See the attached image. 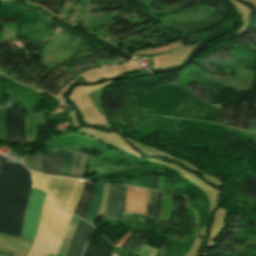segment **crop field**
I'll return each mask as SVG.
<instances>
[{
  "label": "crop field",
  "mask_w": 256,
  "mask_h": 256,
  "mask_svg": "<svg viewBox=\"0 0 256 256\" xmlns=\"http://www.w3.org/2000/svg\"><path fill=\"white\" fill-rule=\"evenodd\" d=\"M30 186L24 166L4 163L0 157V232L19 237Z\"/></svg>",
  "instance_id": "8a807250"
},
{
  "label": "crop field",
  "mask_w": 256,
  "mask_h": 256,
  "mask_svg": "<svg viewBox=\"0 0 256 256\" xmlns=\"http://www.w3.org/2000/svg\"><path fill=\"white\" fill-rule=\"evenodd\" d=\"M70 214L57 209L50 196H46L35 242L28 256L57 254Z\"/></svg>",
  "instance_id": "ac0d7876"
},
{
  "label": "crop field",
  "mask_w": 256,
  "mask_h": 256,
  "mask_svg": "<svg viewBox=\"0 0 256 256\" xmlns=\"http://www.w3.org/2000/svg\"><path fill=\"white\" fill-rule=\"evenodd\" d=\"M34 184L41 190L49 193L57 206L73 211L83 185L77 184L78 180L63 177H50L32 172Z\"/></svg>",
  "instance_id": "34b2d1b8"
},
{
  "label": "crop field",
  "mask_w": 256,
  "mask_h": 256,
  "mask_svg": "<svg viewBox=\"0 0 256 256\" xmlns=\"http://www.w3.org/2000/svg\"><path fill=\"white\" fill-rule=\"evenodd\" d=\"M44 199L45 194L32 184L20 237L34 240Z\"/></svg>",
  "instance_id": "412701ff"
},
{
  "label": "crop field",
  "mask_w": 256,
  "mask_h": 256,
  "mask_svg": "<svg viewBox=\"0 0 256 256\" xmlns=\"http://www.w3.org/2000/svg\"><path fill=\"white\" fill-rule=\"evenodd\" d=\"M15 109L5 107L4 141L14 143ZM15 143L24 144V117L16 110Z\"/></svg>",
  "instance_id": "f4fd0767"
},
{
  "label": "crop field",
  "mask_w": 256,
  "mask_h": 256,
  "mask_svg": "<svg viewBox=\"0 0 256 256\" xmlns=\"http://www.w3.org/2000/svg\"><path fill=\"white\" fill-rule=\"evenodd\" d=\"M33 241L0 233V256H27Z\"/></svg>",
  "instance_id": "dd49c442"
},
{
  "label": "crop field",
  "mask_w": 256,
  "mask_h": 256,
  "mask_svg": "<svg viewBox=\"0 0 256 256\" xmlns=\"http://www.w3.org/2000/svg\"><path fill=\"white\" fill-rule=\"evenodd\" d=\"M126 187L110 184L105 215L117 217L123 214Z\"/></svg>",
  "instance_id": "e52e79f7"
},
{
  "label": "crop field",
  "mask_w": 256,
  "mask_h": 256,
  "mask_svg": "<svg viewBox=\"0 0 256 256\" xmlns=\"http://www.w3.org/2000/svg\"><path fill=\"white\" fill-rule=\"evenodd\" d=\"M93 228L94 227H92L90 224L80 219L74 236L69 244L67 256L81 255L82 249L85 245V241Z\"/></svg>",
  "instance_id": "d8731c3e"
},
{
  "label": "crop field",
  "mask_w": 256,
  "mask_h": 256,
  "mask_svg": "<svg viewBox=\"0 0 256 256\" xmlns=\"http://www.w3.org/2000/svg\"><path fill=\"white\" fill-rule=\"evenodd\" d=\"M64 148L59 152L42 153L43 173L61 175Z\"/></svg>",
  "instance_id": "5a996713"
},
{
  "label": "crop field",
  "mask_w": 256,
  "mask_h": 256,
  "mask_svg": "<svg viewBox=\"0 0 256 256\" xmlns=\"http://www.w3.org/2000/svg\"><path fill=\"white\" fill-rule=\"evenodd\" d=\"M94 187H95V184H89V183L85 182L79 202H78L73 213L84 218V216L88 210L89 204L91 202V199H92Z\"/></svg>",
  "instance_id": "3316defc"
},
{
  "label": "crop field",
  "mask_w": 256,
  "mask_h": 256,
  "mask_svg": "<svg viewBox=\"0 0 256 256\" xmlns=\"http://www.w3.org/2000/svg\"><path fill=\"white\" fill-rule=\"evenodd\" d=\"M83 152L73 149V157H72L70 175L84 176L86 160H87L88 155Z\"/></svg>",
  "instance_id": "28ad6ade"
},
{
  "label": "crop field",
  "mask_w": 256,
  "mask_h": 256,
  "mask_svg": "<svg viewBox=\"0 0 256 256\" xmlns=\"http://www.w3.org/2000/svg\"><path fill=\"white\" fill-rule=\"evenodd\" d=\"M102 194H103V184L99 183V184H97L96 191H95V194L93 197V201H92V203L89 207V210L84 218L85 221L92 222L93 219L95 218V216L98 212L100 203H101Z\"/></svg>",
  "instance_id": "d1516ede"
},
{
  "label": "crop field",
  "mask_w": 256,
  "mask_h": 256,
  "mask_svg": "<svg viewBox=\"0 0 256 256\" xmlns=\"http://www.w3.org/2000/svg\"><path fill=\"white\" fill-rule=\"evenodd\" d=\"M24 165L32 171L41 172V155H24Z\"/></svg>",
  "instance_id": "22f410ed"
},
{
  "label": "crop field",
  "mask_w": 256,
  "mask_h": 256,
  "mask_svg": "<svg viewBox=\"0 0 256 256\" xmlns=\"http://www.w3.org/2000/svg\"><path fill=\"white\" fill-rule=\"evenodd\" d=\"M110 252L101 251L98 248L88 244L83 256H110Z\"/></svg>",
  "instance_id": "cbeb9de0"
},
{
  "label": "crop field",
  "mask_w": 256,
  "mask_h": 256,
  "mask_svg": "<svg viewBox=\"0 0 256 256\" xmlns=\"http://www.w3.org/2000/svg\"><path fill=\"white\" fill-rule=\"evenodd\" d=\"M71 157H72V149L65 147V156H64L62 175H69Z\"/></svg>",
  "instance_id": "5142ce71"
},
{
  "label": "crop field",
  "mask_w": 256,
  "mask_h": 256,
  "mask_svg": "<svg viewBox=\"0 0 256 256\" xmlns=\"http://www.w3.org/2000/svg\"><path fill=\"white\" fill-rule=\"evenodd\" d=\"M32 115L25 117V141L26 143L31 142L30 126H31Z\"/></svg>",
  "instance_id": "d9b57169"
},
{
  "label": "crop field",
  "mask_w": 256,
  "mask_h": 256,
  "mask_svg": "<svg viewBox=\"0 0 256 256\" xmlns=\"http://www.w3.org/2000/svg\"><path fill=\"white\" fill-rule=\"evenodd\" d=\"M149 176L129 180L128 184L147 188Z\"/></svg>",
  "instance_id": "733c2abd"
},
{
  "label": "crop field",
  "mask_w": 256,
  "mask_h": 256,
  "mask_svg": "<svg viewBox=\"0 0 256 256\" xmlns=\"http://www.w3.org/2000/svg\"><path fill=\"white\" fill-rule=\"evenodd\" d=\"M154 192L149 190L147 198V216L152 218Z\"/></svg>",
  "instance_id": "4a817a6b"
},
{
  "label": "crop field",
  "mask_w": 256,
  "mask_h": 256,
  "mask_svg": "<svg viewBox=\"0 0 256 256\" xmlns=\"http://www.w3.org/2000/svg\"><path fill=\"white\" fill-rule=\"evenodd\" d=\"M161 200V193L155 192V199H154V218L159 219V203Z\"/></svg>",
  "instance_id": "bc2a9ffb"
},
{
  "label": "crop field",
  "mask_w": 256,
  "mask_h": 256,
  "mask_svg": "<svg viewBox=\"0 0 256 256\" xmlns=\"http://www.w3.org/2000/svg\"><path fill=\"white\" fill-rule=\"evenodd\" d=\"M157 178H158V176L152 175L151 181H150V186H149L150 189H154L155 190L156 183H157Z\"/></svg>",
  "instance_id": "214f88e0"
},
{
  "label": "crop field",
  "mask_w": 256,
  "mask_h": 256,
  "mask_svg": "<svg viewBox=\"0 0 256 256\" xmlns=\"http://www.w3.org/2000/svg\"><path fill=\"white\" fill-rule=\"evenodd\" d=\"M126 250H124L123 248H121V250L119 251L117 256H123Z\"/></svg>",
  "instance_id": "92a150f3"
},
{
  "label": "crop field",
  "mask_w": 256,
  "mask_h": 256,
  "mask_svg": "<svg viewBox=\"0 0 256 256\" xmlns=\"http://www.w3.org/2000/svg\"><path fill=\"white\" fill-rule=\"evenodd\" d=\"M117 254L113 253L112 256H116Z\"/></svg>",
  "instance_id": "dafd665d"
},
{
  "label": "crop field",
  "mask_w": 256,
  "mask_h": 256,
  "mask_svg": "<svg viewBox=\"0 0 256 256\" xmlns=\"http://www.w3.org/2000/svg\"><path fill=\"white\" fill-rule=\"evenodd\" d=\"M1 109V108H0Z\"/></svg>",
  "instance_id": "00972430"
}]
</instances>
